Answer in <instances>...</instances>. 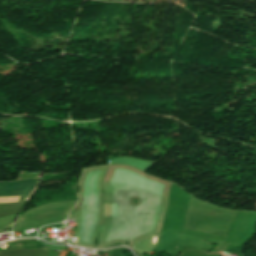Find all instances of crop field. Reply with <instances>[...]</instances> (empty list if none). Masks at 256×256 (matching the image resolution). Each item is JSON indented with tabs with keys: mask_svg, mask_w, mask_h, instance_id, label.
Segmentation results:
<instances>
[{
	"mask_svg": "<svg viewBox=\"0 0 256 256\" xmlns=\"http://www.w3.org/2000/svg\"><path fill=\"white\" fill-rule=\"evenodd\" d=\"M37 179L22 180L15 182L0 183V196L24 195L28 198L29 193L34 189ZM23 196L0 197V202L22 201Z\"/></svg>",
	"mask_w": 256,
	"mask_h": 256,
	"instance_id": "obj_1",
	"label": "crop field"
}]
</instances>
